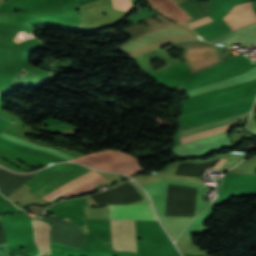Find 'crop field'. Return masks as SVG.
Masks as SVG:
<instances>
[{"label":"crop field","mask_w":256,"mask_h":256,"mask_svg":"<svg viewBox=\"0 0 256 256\" xmlns=\"http://www.w3.org/2000/svg\"><path fill=\"white\" fill-rule=\"evenodd\" d=\"M91 171L92 170L82 166V167H80V168H78V169H76V170H74V171H72V172H70V173H68V174H66V175H64V176H62V177L52 181V182H50L49 184H47V185H45V186H43V187L33 191V192L43 197V196H45V195H47V194H49V193L59 189L60 187H62L64 185H66V184L76 180L77 178H79V177H81V176H83V175H85V174H87V173H89ZM97 176H99V175L96 174L93 171V172H91V173H89V174H87V175L77 179L76 181H74V182H72V183H70V184L60 188L59 190H57V191H55V192L45 196L44 198H46L47 200L51 201V200L55 199L56 197L60 196L61 194L65 193V192H67V191H69V190H71V189H73V188H75V187H77V186H79V185H81V184H83V183H85V182H87V181L97 177ZM100 181H108V180H106L103 177L99 176V177H97V178H95V179H93V180H91V181H89V182H87V183H85V184H83V185H81V186H79V187H77V188H75V189H73V190L63 194V196L79 194V193H82V192L94 189L95 185H94L93 182H100Z\"/></svg>","instance_id":"crop-field-1"},{"label":"crop field","mask_w":256,"mask_h":256,"mask_svg":"<svg viewBox=\"0 0 256 256\" xmlns=\"http://www.w3.org/2000/svg\"><path fill=\"white\" fill-rule=\"evenodd\" d=\"M133 159V157H130L120 151L103 150L72 161L85 163L89 166L104 170L117 171L121 173L124 171L131 176L140 172H145L134 163Z\"/></svg>","instance_id":"crop-field-2"},{"label":"crop field","mask_w":256,"mask_h":256,"mask_svg":"<svg viewBox=\"0 0 256 256\" xmlns=\"http://www.w3.org/2000/svg\"><path fill=\"white\" fill-rule=\"evenodd\" d=\"M114 249L136 251L134 220H112Z\"/></svg>","instance_id":"crop-field-3"},{"label":"crop field","mask_w":256,"mask_h":256,"mask_svg":"<svg viewBox=\"0 0 256 256\" xmlns=\"http://www.w3.org/2000/svg\"><path fill=\"white\" fill-rule=\"evenodd\" d=\"M110 219H156L150 205L110 206Z\"/></svg>","instance_id":"crop-field-4"},{"label":"crop field","mask_w":256,"mask_h":256,"mask_svg":"<svg viewBox=\"0 0 256 256\" xmlns=\"http://www.w3.org/2000/svg\"><path fill=\"white\" fill-rule=\"evenodd\" d=\"M241 116H243V115L236 116V117L229 118V119H225V120L218 121V122H214V123H211V124L203 125V126H200V127L192 128V129H189V130L181 131L180 132V138L185 137V136H189V135L201 132V131H205V130H208V129H211V128H214V127H217V126H221V125H224V124H227V123L235 122ZM233 124L234 123L227 124V125H224V126H221V127H217V128L205 131V132H201V133L189 136V137L182 138L181 139V144L185 143V142L195 140V139H198V138H202V137H205V136H208V135H212V134H215V133H218V132H221V131L228 130L232 127Z\"/></svg>","instance_id":"crop-field-5"},{"label":"crop field","mask_w":256,"mask_h":256,"mask_svg":"<svg viewBox=\"0 0 256 256\" xmlns=\"http://www.w3.org/2000/svg\"><path fill=\"white\" fill-rule=\"evenodd\" d=\"M1 137H4L6 139H9L11 141H14L16 143H19L21 145H24V146H27V147H31V148H35V149H38V150H41V151H44V152H48V153H51V154H54V155H57L59 157H62L66 160H70V159H74L73 157L63 153V152H60L54 148H50V147H46V146H42V145H38V144H35V143H32V142H29V141H26V140H23V139H20V138H17V137H13V136H9L5 133H1L0 134Z\"/></svg>","instance_id":"crop-field-6"},{"label":"crop field","mask_w":256,"mask_h":256,"mask_svg":"<svg viewBox=\"0 0 256 256\" xmlns=\"http://www.w3.org/2000/svg\"><path fill=\"white\" fill-rule=\"evenodd\" d=\"M113 6L116 9L127 11L131 6L130 0H112Z\"/></svg>","instance_id":"crop-field-7"},{"label":"crop field","mask_w":256,"mask_h":256,"mask_svg":"<svg viewBox=\"0 0 256 256\" xmlns=\"http://www.w3.org/2000/svg\"><path fill=\"white\" fill-rule=\"evenodd\" d=\"M210 21H212V19L207 17V18H204V19H201V20L189 23V26L191 27V29H193L195 27H198V26L203 25V24H205L207 22H210Z\"/></svg>","instance_id":"crop-field-8"},{"label":"crop field","mask_w":256,"mask_h":256,"mask_svg":"<svg viewBox=\"0 0 256 256\" xmlns=\"http://www.w3.org/2000/svg\"><path fill=\"white\" fill-rule=\"evenodd\" d=\"M223 162H224V160L222 161V163H221V165H220V167H219V170H220V168H221V166H222Z\"/></svg>","instance_id":"crop-field-9"},{"label":"crop field","mask_w":256,"mask_h":256,"mask_svg":"<svg viewBox=\"0 0 256 256\" xmlns=\"http://www.w3.org/2000/svg\"><path fill=\"white\" fill-rule=\"evenodd\" d=\"M1 168V167H0Z\"/></svg>","instance_id":"crop-field-10"}]
</instances>
